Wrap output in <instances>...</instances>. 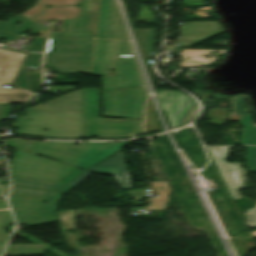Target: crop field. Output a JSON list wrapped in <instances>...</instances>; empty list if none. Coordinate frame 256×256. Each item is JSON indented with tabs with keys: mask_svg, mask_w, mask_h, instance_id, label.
<instances>
[{
	"mask_svg": "<svg viewBox=\"0 0 256 256\" xmlns=\"http://www.w3.org/2000/svg\"><path fill=\"white\" fill-rule=\"evenodd\" d=\"M215 35H203V36H181L180 40H189V41H201L212 37Z\"/></svg>",
	"mask_w": 256,
	"mask_h": 256,
	"instance_id": "crop-field-35",
	"label": "crop field"
},
{
	"mask_svg": "<svg viewBox=\"0 0 256 256\" xmlns=\"http://www.w3.org/2000/svg\"><path fill=\"white\" fill-rule=\"evenodd\" d=\"M193 93L199 96L202 93V91L194 90Z\"/></svg>",
	"mask_w": 256,
	"mask_h": 256,
	"instance_id": "crop-field-42",
	"label": "crop field"
},
{
	"mask_svg": "<svg viewBox=\"0 0 256 256\" xmlns=\"http://www.w3.org/2000/svg\"><path fill=\"white\" fill-rule=\"evenodd\" d=\"M119 56L133 57L127 40L97 39L92 60L91 74H108Z\"/></svg>",
	"mask_w": 256,
	"mask_h": 256,
	"instance_id": "crop-field-8",
	"label": "crop field"
},
{
	"mask_svg": "<svg viewBox=\"0 0 256 256\" xmlns=\"http://www.w3.org/2000/svg\"><path fill=\"white\" fill-rule=\"evenodd\" d=\"M24 54L0 49V86L10 84ZM33 95L21 89L0 88V103H26Z\"/></svg>",
	"mask_w": 256,
	"mask_h": 256,
	"instance_id": "crop-field-9",
	"label": "crop field"
},
{
	"mask_svg": "<svg viewBox=\"0 0 256 256\" xmlns=\"http://www.w3.org/2000/svg\"><path fill=\"white\" fill-rule=\"evenodd\" d=\"M9 104H0V121L9 116Z\"/></svg>",
	"mask_w": 256,
	"mask_h": 256,
	"instance_id": "crop-field-34",
	"label": "crop field"
},
{
	"mask_svg": "<svg viewBox=\"0 0 256 256\" xmlns=\"http://www.w3.org/2000/svg\"><path fill=\"white\" fill-rule=\"evenodd\" d=\"M100 0H81L78 19H61L63 32L49 37L95 38Z\"/></svg>",
	"mask_w": 256,
	"mask_h": 256,
	"instance_id": "crop-field-6",
	"label": "crop field"
},
{
	"mask_svg": "<svg viewBox=\"0 0 256 256\" xmlns=\"http://www.w3.org/2000/svg\"><path fill=\"white\" fill-rule=\"evenodd\" d=\"M6 207H8V206H7L6 202H5V199H1L0 200V208H6Z\"/></svg>",
	"mask_w": 256,
	"mask_h": 256,
	"instance_id": "crop-field-40",
	"label": "crop field"
},
{
	"mask_svg": "<svg viewBox=\"0 0 256 256\" xmlns=\"http://www.w3.org/2000/svg\"><path fill=\"white\" fill-rule=\"evenodd\" d=\"M50 244L8 245L4 256L43 255Z\"/></svg>",
	"mask_w": 256,
	"mask_h": 256,
	"instance_id": "crop-field-16",
	"label": "crop field"
},
{
	"mask_svg": "<svg viewBox=\"0 0 256 256\" xmlns=\"http://www.w3.org/2000/svg\"><path fill=\"white\" fill-rule=\"evenodd\" d=\"M183 34L219 33L218 22L184 23L181 27Z\"/></svg>",
	"mask_w": 256,
	"mask_h": 256,
	"instance_id": "crop-field-18",
	"label": "crop field"
},
{
	"mask_svg": "<svg viewBox=\"0 0 256 256\" xmlns=\"http://www.w3.org/2000/svg\"><path fill=\"white\" fill-rule=\"evenodd\" d=\"M23 21V23L19 26H12L18 21ZM27 29H31L32 34H38V31H47L48 29L37 28V23L18 15L14 18H10L7 22H0V31L20 34L22 32H27Z\"/></svg>",
	"mask_w": 256,
	"mask_h": 256,
	"instance_id": "crop-field-15",
	"label": "crop field"
},
{
	"mask_svg": "<svg viewBox=\"0 0 256 256\" xmlns=\"http://www.w3.org/2000/svg\"><path fill=\"white\" fill-rule=\"evenodd\" d=\"M73 187H71V186H67V187H65L64 189H62L61 191L62 192H67V191H69L70 189H72Z\"/></svg>",
	"mask_w": 256,
	"mask_h": 256,
	"instance_id": "crop-field-41",
	"label": "crop field"
},
{
	"mask_svg": "<svg viewBox=\"0 0 256 256\" xmlns=\"http://www.w3.org/2000/svg\"><path fill=\"white\" fill-rule=\"evenodd\" d=\"M14 224L9 210L0 211V255L8 241L10 235H7L3 226Z\"/></svg>",
	"mask_w": 256,
	"mask_h": 256,
	"instance_id": "crop-field-23",
	"label": "crop field"
},
{
	"mask_svg": "<svg viewBox=\"0 0 256 256\" xmlns=\"http://www.w3.org/2000/svg\"><path fill=\"white\" fill-rule=\"evenodd\" d=\"M245 127L242 133V144L256 145V125L252 124V116L239 117Z\"/></svg>",
	"mask_w": 256,
	"mask_h": 256,
	"instance_id": "crop-field-20",
	"label": "crop field"
},
{
	"mask_svg": "<svg viewBox=\"0 0 256 256\" xmlns=\"http://www.w3.org/2000/svg\"><path fill=\"white\" fill-rule=\"evenodd\" d=\"M15 37H16V35H14V34L0 32V38H7V41H12L13 39H15Z\"/></svg>",
	"mask_w": 256,
	"mask_h": 256,
	"instance_id": "crop-field-38",
	"label": "crop field"
},
{
	"mask_svg": "<svg viewBox=\"0 0 256 256\" xmlns=\"http://www.w3.org/2000/svg\"><path fill=\"white\" fill-rule=\"evenodd\" d=\"M196 112H197V108H196L195 104H193V106L188 111V113L186 114V116L184 117V119L181 121V123L179 125L185 124L188 121H190L192 118H194Z\"/></svg>",
	"mask_w": 256,
	"mask_h": 256,
	"instance_id": "crop-field-33",
	"label": "crop field"
},
{
	"mask_svg": "<svg viewBox=\"0 0 256 256\" xmlns=\"http://www.w3.org/2000/svg\"><path fill=\"white\" fill-rule=\"evenodd\" d=\"M1 138H2V136H0V141H1Z\"/></svg>",
	"mask_w": 256,
	"mask_h": 256,
	"instance_id": "crop-field-45",
	"label": "crop field"
},
{
	"mask_svg": "<svg viewBox=\"0 0 256 256\" xmlns=\"http://www.w3.org/2000/svg\"><path fill=\"white\" fill-rule=\"evenodd\" d=\"M210 93H202L199 97L202 101V103L204 104L206 102V100L210 97Z\"/></svg>",
	"mask_w": 256,
	"mask_h": 256,
	"instance_id": "crop-field-39",
	"label": "crop field"
},
{
	"mask_svg": "<svg viewBox=\"0 0 256 256\" xmlns=\"http://www.w3.org/2000/svg\"><path fill=\"white\" fill-rule=\"evenodd\" d=\"M94 40L49 38L43 67H53L54 72L90 74Z\"/></svg>",
	"mask_w": 256,
	"mask_h": 256,
	"instance_id": "crop-field-3",
	"label": "crop field"
},
{
	"mask_svg": "<svg viewBox=\"0 0 256 256\" xmlns=\"http://www.w3.org/2000/svg\"><path fill=\"white\" fill-rule=\"evenodd\" d=\"M155 95L172 128L178 126L193 104L191 99L181 92L162 91Z\"/></svg>",
	"mask_w": 256,
	"mask_h": 256,
	"instance_id": "crop-field-11",
	"label": "crop field"
},
{
	"mask_svg": "<svg viewBox=\"0 0 256 256\" xmlns=\"http://www.w3.org/2000/svg\"><path fill=\"white\" fill-rule=\"evenodd\" d=\"M145 57L152 56L155 29H136Z\"/></svg>",
	"mask_w": 256,
	"mask_h": 256,
	"instance_id": "crop-field-21",
	"label": "crop field"
},
{
	"mask_svg": "<svg viewBox=\"0 0 256 256\" xmlns=\"http://www.w3.org/2000/svg\"><path fill=\"white\" fill-rule=\"evenodd\" d=\"M42 54L27 53L21 66L40 69Z\"/></svg>",
	"mask_w": 256,
	"mask_h": 256,
	"instance_id": "crop-field-29",
	"label": "crop field"
},
{
	"mask_svg": "<svg viewBox=\"0 0 256 256\" xmlns=\"http://www.w3.org/2000/svg\"><path fill=\"white\" fill-rule=\"evenodd\" d=\"M60 230L75 229L74 211L58 212Z\"/></svg>",
	"mask_w": 256,
	"mask_h": 256,
	"instance_id": "crop-field-25",
	"label": "crop field"
},
{
	"mask_svg": "<svg viewBox=\"0 0 256 256\" xmlns=\"http://www.w3.org/2000/svg\"><path fill=\"white\" fill-rule=\"evenodd\" d=\"M34 144L35 142L33 141L19 140V139H12V140L6 141L7 147L15 148V149L26 151V152L30 151V149L33 147Z\"/></svg>",
	"mask_w": 256,
	"mask_h": 256,
	"instance_id": "crop-field-26",
	"label": "crop field"
},
{
	"mask_svg": "<svg viewBox=\"0 0 256 256\" xmlns=\"http://www.w3.org/2000/svg\"><path fill=\"white\" fill-rule=\"evenodd\" d=\"M83 170L16 150L9 167L10 175L14 177L62 184H66Z\"/></svg>",
	"mask_w": 256,
	"mask_h": 256,
	"instance_id": "crop-field-5",
	"label": "crop field"
},
{
	"mask_svg": "<svg viewBox=\"0 0 256 256\" xmlns=\"http://www.w3.org/2000/svg\"><path fill=\"white\" fill-rule=\"evenodd\" d=\"M232 147H208V150L232 198L236 199L240 198L237 191L247 188V182L245 169H240V163L225 162Z\"/></svg>",
	"mask_w": 256,
	"mask_h": 256,
	"instance_id": "crop-field-10",
	"label": "crop field"
},
{
	"mask_svg": "<svg viewBox=\"0 0 256 256\" xmlns=\"http://www.w3.org/2000/svg\"><path fill=\"white\" fill-rule=\"evenodd\" d=\"M128 143L130 142L81 144L75 147V143L36 142L29 153L86 169L116 153Z\"/></svg>",
	"mask_w": 256,
	"mask_h": 256,
	"instance_id": "crop-field-2",
	"label": "crop field"
},
{
	"mask_svg": "<svg viewBox=\"0 0 256 256\" xmlns=\"http://www.w3.org/2000/svg\"><path fill=\"white\" fill-rule=\"evenodd\" d=\"M155 108L152 104L151 99L149 98L148 103H147V107L145 109L146 112V121L144 123V127H145V132H151V131H155V130H160L157 122L155 120L154 117V112Z\"/></svg>",
	"mask_w": 256,
	"mask_h": 256,
	"instance_id": "crop-field-24",
	"label": "crop field"
},
{
	"mask_svg": "<svg viewBox=\"0 0 256 256\" xmlns=\"http://www.w3.org/2000/svg\"><path fill=\"white\" fill-rule=\"evenodd\" d=\"M84 137L124 138L141 133L143 120L98 118V89H83Z\"/></svg>",
	"mask_w": 256,
	"mask_h": 256,
	"instance_id": "crop-field-4",
	"label": "crop field"
},
{
	"mask_svg": "<svg viewBox=\"0 0 256 256\" xmlns=\"http://www.w3.org/2000/svg\"><path fill=\"white\" fill-rule=\"evenodd\" d=\"M253 235H256V231L252 232Z\"/></svg>",
	"mask_w": 256,
	"mask_h": 256,
	"instance_id": "crop-field-43",
	"label": "crop field"
},
{
	"mask_svg": "<svg viewBox=\"0 0 256 256\" xmlns=\"http://www.w3.org/2000/svg\"><path fill=\"white\" fill-rule=\"evenodd\" d=\"M70 94L45 102L47 106L40 104L27 109V117H19L16 122L22 126L17 127L15 134L50 139L83 138L82 90Z\"/></svg>",
	"mask_w": 256,
	"mask_h": 256,
	"instance_id": "crop-field-1",
	"label": "crop field"
},
{
	"mask_svg": "<svg viewBox=\"0 0 256 256\" xmlns=\"http://www.w3.org/2000/svg\"><path fill=\"white\" fill-rule=\"evenodd\" d=\"M246 221L248 227H256V207L254 209H247Z\"/></svg>",
	"mask_w": 256,
	"mask_h": 256,
	"instance_id": "crop-field-32",
	"label": "crop field"
},
{
	"mask_svg": "<svg viewBox=\"0 0 256 256\" xmlns=\"http://www.w3.org/2000/svg\"><path fill=\"white\" fill-rule=\"evenodd\" d=\"M8 193V185H0V197H6Z\"/></svg>",
	"mask_w": 256,
	"mask_h": 256,
	"instance_id": "crop-field-37",
	"label": "crop field"
},
{
	"mask_svg": "<svg viewBox=\"0 0 256 256\" xmlns=\"http://www.w3.org/2000/svg\"><path fill=\"white\" fill-rule=\"evenodd\" d=\"M79 2L80 0H39L34 7L21 14L31 18L46 9V5H73V7H51L34 19L77 18L79 7H75V4Z\"/></svg>",
	"mask_w": 256,
	"mask_h": 256,
	"instance_id": "crop-field-13",
	"label": "crop field"
},
{
	"mask_svg": "<svg viewBox=\"0 0 256 256\" xmlns=\"http://www.w3.org/2000/svg\"><path fill=\"white\" fill-rule=\"evenodd\" d=\"M11 192L48 196V199L42 209V212L54 211L62 195L61 193L38 191V190L15 188V187H12Z\"/></svg>",
	"mask_w": 256,
	"mask_h": 256,
	"instance_id": "crop-field-17",
	"label": "crop field"
},
{
	"mask_svg": "<svg viewBox=\"0 0 256 256\" xmlns=\"http://www.w3.org/2000/svg\"><path fill=\"white\" fill-rule=\"evenodd\" d=\"M232 112L229 121H239V116L248 115L246 111L245 95L231 98Z\"/></svg>",
	"mask_w": 256,
	"mask_h": 256,
	"instance_id": "crop-field-22",
	"label": "crop field"
},
{
	"mask_svg": "<svg viewBox=\"0 0 256 256\" xmlns=\"http://www.w3.org/2000/svg\"><path fill=\"white\" fill-rule=\"evenodd\" d=\"M208 115H209V118H211V121L209 122V124L223 126L228 115V110L213 109L211 112H209ZM221 115H223V118H220Z\"/></svg>",
	"mask_w": 256,
	"mask_h": 256,
	"instance_id": "crop-field-27",
	"label": "crop field"
},
{
	"mask_svg": "<svg viewBox=\"0 0 256 256\" xmlns=\"http://www.w3.org/2000/svg\"><path fill=\"white\" fill-rule=\"evenodd\" d=\"M90 174H92V172H88L86 171L85 173H83L80 177H78L76 180H74L71 184L72 186H77L78 184H80L84 179H86Z\"/></svg>",
	"mask_w": 256,
	"mask_h": 256,
	"instance_id": "crop-field-36",
	"label": "crop field"
},
{
	"mask_svg": "<svg viewBox=\"0 0 256 256\" xmlns=\"http://www.w3.org/2000/svg\"><path fill=\"white\" fill-rule=\"evenodd\" d=\"M96 38L127 39L113 0H101Z\"/></svg>",
	"mask_w": 256,
	"mask_h": 256,
	"instance_id": "crop-field-12",
	"label": "crop field"
},
{
	"mask_svg": "<svg viewBox=\"0 0 256 256\" xmlns=\"http://www.w3.org/2000/svg\"><path fill=\"white\" fill-rule=\"evenodd\" d=\"M12 85L24 88L26 90L29 89L28 81H27V76H26V70L25 67H20L13 82Z\"/></svg>",
	"mask_w": 256,
	"mask_h": 256,
	"instance_id": "crop-field-28",
	"label": "crop field"
},
{
	"mask_svg": "<svg viewBox=\"0 0 256 256\" xmlns=\"http://www.w3.org/2000/svg\"><path fill=\"white\" fill-rule=\"evenodd\" d=\"M11 183L12 185H15V186L38 188V189H45V190H52V191H58L63 186H65L62 184L41 182V181L14 178V177H11Z\"/></svg>",
	"mask_w": 256,
	"mask_h": 256,
	"instance_id": "crop-field-19",
	"label": "crop field"
},
{
	"mask_svg": "<svg viewBox=\"0 0 256 256\" xmlns=\"http://www.w3.org/2000/svg\"><path fill=\"white\" fill-rule=\"evenodd\" d=\"M89 170L101 174H112L121 189L131 188L122 150L117 153L116 157H112Z\"/></svg>",
	"mask_w": 256,
	"mask_h": 256,
	"instance_id": "crop-field-14",
	"label": "crop field"
},
{
	"mask_svg": "<svg viewBox=\"0 0 256 256\" xmlns=\"http://www.w3.org/2000/svg\"><path fill=\"white\" fill-rule=\"evenodd\" d=\"M47 197L11 193L9 201L17 223L32 227L56 220L55 213H41Z\"/></svg>",
	"mask_w": 256,
	"mask_h": 256,
	"instance_id": "crop-field-7",
	"label": "crop field"
},
{
	"mask_svg": "<svg viewBox=\"0 0 256 256\" xmlns=\"http://www.w3.org/2000/svg\"><path fill=\"white\" fill-rule=\"evenodd\" d=\"M4 161L0 160V165L3 163Z\"/></svg>",
	"mask_w": 256,
	"mask_h": 256,
	"instance_id": "crop-field-44",
	"label": "crop field"
},
{
	"mask_svg": "<svg viewBox=\"0 0 256 256\" xmlns=\"http://www.w3.org/2000/svg\"><path fill=\"white\" fill-rule=\"evenodd\" d=\"M46 38L35 37L28 52H43Z\"/></svg>",
	"mask_w": 256,
	"mask_h": 256,
	"instance_id": "crop-field-31",
	"label": "crop field"
},
{
	"mask_svg": "<svg viewBox=\"0 0 256 256\" xmlns=\"http://www.w3.org/2000/svg\"><path fill=\"white\" fill-rule=\"evenodd\" d=\"M247 151L246 161L249 166V172H256V147L247 146Z\"/></svg>",
	"mask_w": 256,
	"mask_h": 256,
	"instance_id": "crop-field-30",
	"label": "crop field"
}]
</instances>
